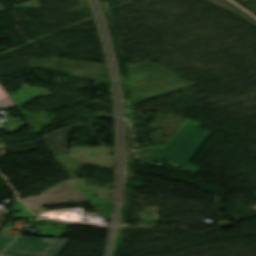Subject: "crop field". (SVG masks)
I'll return each instance as SVG.
<instances>
[{
  "label": "crop field",
  "instance_id": "ac0d7876",
  "mask_svg": "<svg viewBox=\"0 0 256 256\" xmlns=\"http://www.w3.org/2000/svg\"><path fill=\"white\" fill-rule=\"evenodd\" d=\"M68 241L18 237L3 256H59Z\"/></svg>",
  "mask_w": 256,
  "mask_h": 256
},
{
  "label": "crop field",
  "instance_id": "8a807250",
  "mask_svg": "<svg viewBox=\"0 0 256 256\" xmlns=\"http://www.w3.org/2000/svg\"><path fill=\"white\" fill-rule=\"evenodd\" d=\"M200 125L201 123L186 119L164 149L149 146L134 150L135 154L148 162L166 159L194 174L201 168L189 162L210 135L198 128Z\"/></svg>",
  "mask_w": 256,
  "mask_h": 256
},
{
  "label": "crop field",
  "instance_id": "412701ff",
  "mask_svg": "<svg viewBox=\"0 0 256 256\" xmlns=\"http://www.w3.org/2000/svg\"><path fill=\"white\" fill-rule=\"evenodd\" d=\"M12 227H8L6 231H3L0 235V251L2 252L10 242L15 238V236L9 235Z\"/></svg>",
  "mask_w": 256,
  "mask_h": 256
},
{
  "label": "crop field",
  "instance_id": "34b2d1b8",
  "mask_svg": "<svg viewBox=\"0 0 256 256\" xmlns=\"http://www.w3.org/2000/svg\"><path fill=\"white\" fill-rule=\"evenodd\" d=\"M13 111H8L4 116L3 118H6L8 119L6 122H4L5 124L2 125V128L3 130H5L6 128H9L8 131H13V132H16L25 122L23 121V119L18 116L16 118H14L15 116L18 115L17 112H14L13 114ZM12 114V115H11ZM11 115V116H10ZM17 121H22L21 123L17 122Z\"/></svg>",
  "mask_w": 256,
  "mask_h": 256
}]
</instances>
